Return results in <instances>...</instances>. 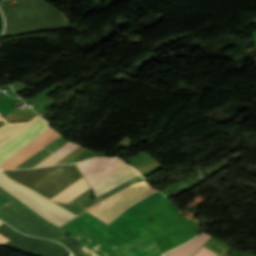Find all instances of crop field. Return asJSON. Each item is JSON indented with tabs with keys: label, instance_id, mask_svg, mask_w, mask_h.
<instances>
[{
	"label": "crop field",
	"instance_id": "crop-field-12",
	"mask_svg": "<svg viewBox=\"0 0 256 256\" xmlns=\"http://www.w3.org/2000/svg\"><path fill=\"white\" fill-rule=\"evenodd\" d=\"M79 145L69 141L65 145H63L61 148H59L57 151H55L53 154H51L49 157H47L45 160H43L41 163L36 165L35 167L39 166H47L54 164L64 158L66 155H68L70 152H72L74 149H76Z\"/></svg>",
	"mask_w": 256,
	"mask_h": 256
},
{
	"label": "crop field",
	"instance_id": "crop-field-10",
	"mask_svg": "<svg viewBox=\"0 0 256 256\" xmlns=\"http://www.w3.org/2000/svg\"><path fill=\"white\" fill-rule=\"evenodd\" d=\"M88 188L89 186L82 177L74 184H72L71 186L60 192L58 195L53 197L51 200L68 203L69 201L77 197L79 194H81Z\"/></svg>",
	"mask_w": 256,
	"mask_h": 256
},
{
	"label": "crop field",
	"instance_id": "crop-field-13",
	"mask_svg": "<svg viewBox=\"0 0 256 256\" xmlns=\"http://www.w3.org/2000/svg\"><path fill=\"white\" fill-rule=\"evenodd\" d=\"M94 202H96V199L91 200V191L89 189L70 203H74L83 207H88L91 206Z\"/></svg>",
	"mask_w": 256,
	"mask_h": 256
},
{
	"label": "crop field",
	"instance_id": "crop-field-16",
	"mask_svg": "<svg viewBox=\"0 0 256 256\" xmlns=\"http://www.w3.org/2000/svg\"><path fill=\"white\" fill-rule=\"evenodd\" d=\"M193 256H218V255L201 247Z\"/></svg>",
	"mask_w": 256,
	"mask_h": 256
},
{
	"label": "crop field",
	"instance_id": "crop-field-1",
	"mask_svg": "<svg viewBox=\"0 0 256 256\" xmlns=\"http://www.w3.org/2000/svg\"><path fill=\"white\" fill-rule=\"evenodd\" d=\"M17 2L19 5L9 4L1 8L6 18L3 37L71 27L59 11L41 0Z\"/></svg>",
	"mask_w": 256,
	"mask_h": 256
},
{
	"label": "crop field",
	"instance_id": "crop-field-11",
	"mask_svg": "<svg viewBox=\"0 0 256 256\" xmlns=\"http://www.w3.org/2000/svg\"><path fill=\"white\" fill-rule=\"evenodd\" d=\"M66 142L67 141H65L61 136L58 137L56 140H54L52 143H50L45 148L40 150L38 153H36L31 158H29L27 161L22 163L16 169L33 167L35 164H37L39 161H41L43 158H45L47 155H49L51 152H53L54 150H56Z\"/></svg>",
	"mask_w": 256,
	"mask_h": 256
},
{
	"label": "crop field",
	"instance_id": "crop-field-4",
	"mask_svg": "<svg viewBox=\"0 0 256 256\" xmlns=\"http://www.w3.org/2000/svg\"><path fill=\"white\" fill-rule=\"evenodd\" d=\"M25 208V207H24ZM12 199L0 206V219L22 233L52 240L63 234L44 223Z\"/></svg>",
	"mask_w": 256,
	"mask_h": 256
},
{
	"label": "crop field",
	"instance_id": "crop-field-8",
	"mask_svg": "<svg viewBox=\"0 0 256 256\" xmlns=\"http://www.w3.org/2000/svg\"><path fill=\"white\" fill-rule=\"evenodd\" d=\"M135 173H137V171L135 169H133L129 165L125 164L122 167H120L119 169H117L116 171L112 172L110 175L105 177L103 180H101L100 182H98L97 184H95L91 188H92V190L95 194V193H97V192H99V191H101V190H103V189H105V188H107V187H109V186H111V185H113V184H115V183L133 175V174H135ZM137 175H139V173L130 177V178H128V179H126V180H124V181H122V182H120V183H118V184H116V185H114V186H112V187H110V188H108V189H106V190H104V191H102V192H100V193H98V194H96V197L105 193V192H107V191H109V190H111L112 188L128 181L129 179H131V178H133Z\"/></svg>",
	"mask_w": 256,
	"mask_h": 256
},
{
	"label": "crop field",
	"instance_id": "crop-field-5",
	"mask_svg": "<svg viewBox=\"0 0 256 256\" xmlns=\"http://www.w3.org/2000/svg\"><path fill=\"white\" fill-rule=\"evenodd\" d=\"M76 164L91 187L125 163L118 157H99Z\"/></svg>",
	"mask_w": 256,
	"mask_h": 256
},
{
	"label": "crop field",
	"instance_id": "crop-field-6",
	"mask_svg": "<svg viewBox=\"0 0 256 256\" xmlns=\"http://www.w3.org/2000/svg\"><path fill=\"white\" fill-rule=\"evenodd\" d=\"M47 127V122L39 117L11 139L0 145V163L46 130Z\"/></svg>",
	"mask_w": 256,
	"mask_h": 256
},
{
	"label": "crop field",
	"instance_id": "crop-field-9",
	"mask_svg": "<svg viewBox=\"0 0 256 256\" xmlns=\"http://www.w3.org/2000/svg\"><path fill=\"white\" fill-rule=\"evenodd\" d=\"M210 237L208 234L202 233L183 245L164 253L163 256H191Z\"/></svg>",
	"mask_w": 256,
	"mask_h": 256
},
{
	"label": "crop field",
	"instance_id": "crop-field-3",
	"mask_svg": "<svg viewBox=\"0 0 256 256\" xmlns=\"http://www.w3.org/2000/svg\"><path fill=\"white\" fill-rule=\"evenodd\" d=\"M0 186L58 227L76 216L42 195L10 180L1 170Z\"/></svg>",
	"mask_w": 256,
	"mask_h": 256
},
{
	"label": "crop field",
	"instance_id": "crop-field-15",
	"mask_svg": "<svg viewBox=\"0 0 256 256\" xmlns=\"http://www.w3.org/2000/svg\"><path fill=\"white\" fill-rule=\"evenodd\" d=\"M57 204L61 205L62 207L68 209L69 211L73 212L74 214H76L78 216L83 214L84 212H86L83 208L78 207V206L65 204V203H57Z\"/></svg>",
	"mask_w": 256,
	"mask_h": 256
},
{
	"label": "crop field",
	"instance_id": "crop-field-17",
	"mask_svg": "<svg viewBox=\"0 0 256 256\" xmlns=\"http://www.w3.org/2000/svg\"><path fill=\"white\" fill-rule=\"evenodd\" d=\"M3 222L0 221V225L2 224Z\"/></svg>",
	"mask_w": 256,
	"mask_h": 256
},
{
	"label": "crop field",
	"instance_id": "crop-field-14",
	"mask_svg": "<svg viewBox=\"0 0 256 256\" xmlns=\"http://www.w3.org/2000/svg\"><path fill=\"white\" fill-rule=\"evenodd\" d=\"M141 180H144V178L140 175V176H138V177H136V178H134V179H132V180L116 187V188H114L113 190H111V191H109V192H107V193H105V194H103V195H101L97 198H98L99 201H101L102 199H104V198H106V197H108V196H110V195H112V194H114V193H116V192H118V191L136 183V182H139Z\"/></svg>",
	"mask_w": 256,
	"mask_h": 256
},
{
	"label": "crop field",
	"instance_id": "crop-field-2",
	"mask_svg": "<svg viewBox=\"0 0 256 256\" xmlns=\"http://www.w3.org/2000/svg\"><path fill=\"white\" fill-rule=\"evenodd\" d=\"M4 172L11 179L31 187L49 199L81 178L68 165Z\"/></svg>",
	"mask_w": 256,
	"mask_h": 256
},
{
	"label": "crop field",
	"instance_id": "crop-field-18",
	"mask_svg": "<svg viewBox=\"0 0 256 256\" xmlns=\"http://www.w3.org/2000/svg\"><path fill=\"white\" fill-rule=\"evenodd\" d=\"M2 115H0V117H1Z\"/></svg>",
	"mask_w": 256,
	"mask_h": 256
},
{
	"label": "crop field",
	"instance_id": "crop-field-7",
	"mask_svg": "<svg viewBox=\"0 0 256 256\" xmlns=\"http://www.w3.org/2000/svg\"><path fill=\"white\" fill-rule=\"evenodd\" d=\"M60 134L53 129H48L42 136L27 145L25 148L17 152L11 158L6 160L0 165L1 169H14L22 162L27 160L33 154H35L39 149L47 145L53 139H55Z\"/></svg>",
	"mask_w": 256,
	"mask_h": 256
}]
</instances>
